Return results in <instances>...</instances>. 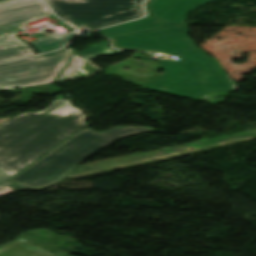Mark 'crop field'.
<instances>
[{"mask_svg":"<svg viewBox=\"0 0 256 256\" xmlns=\"http://www.w3.org/2000/svg\"><path fill=\"white\" fill-rule=\"evenodd\" d=\"M75 49L0 65V90L54 83Z\"/></svg>","mask_w":256,"mask_h":256,"instance_id":"obj_6","label":"crop field"},{"mask_svg":"<svg viewBox=\"0 0 256 256\" xmlns=\"http://www.w3.org/2000/svg\"><path fill=\"white\" fill-rule=\"evenodd\" d=\"M160 25H161L160 22L151 20V21L136 23V24L108 30V31L101 32V33L104 36L109 37V36L133 32V31H137V30H141V29H145V28L156 27V26H160Z\"/></svg>","mask_w":256,"mask_h":256,"instance_id":"obj_10","label":"crop field"},{"mask_svg":"<svg viewBox=\"0 0 256 256\" xmlns=\"http://www.w3.org/2000/svg\"><path fill=\"white\" fill-rule=\"evenodd\" d=\"M7 119H8V118H7ZM4 120H6V119H1L0 122H2V121H4Z\"/></svg>","mask_w":256,"mask_h":256,"instance_id":"obj_13","label":"crop field"},{"mask_svg":"<svg viewBox=\"0 0 256 256\" xmlns=\"http://www.w3.org/2000/svg\"><path fill=\"white\" fill-rule=\"evenodd\" d=\"M0 256H58L22 238L0 249Z\"/></svg>","mask_w":256,"mask_h":256,"instance_id":"obj_8","label":"crop field"},{"mask_svg":"<svg viewBox=\"0 0 256 256\" xmlns=\"http://www.w3.org/2000/svg\"><path fill=\"white\" fill-rule=\"evenodd\" d=\"M52 15L41 0L0 1V62L33 55L29 44L16 38L15 33L22 31L25 23Z\"/></svg>","mask_w":256,"mask_h":256,"instance_id":"obj_5","label":"crop field"},{"mask_svg":"<svg viewBox=\"0 0 256 256\" xmlns=\"http://www.w3.org/2000/svg\"><path fill=\"white\" fill-rule=\"evenodd\" d=\"M75 34L77 33H70L66 35H48L37 38L38 41L31 43V45L39 54H41L63 47Z\"/></svg>","mask_w":256,"mask_h":256,"instance_id":"obj_9","label":"crop field"},{"mask_svg":"<svg viewBox=\"0 0 256 256\" xmlns=\"http://www.w3.org/2000/svg\"><path fill=\"white\" fill-rule=\"evenodd\" d=\"M119 52H122V51L112 50L109 47V42L106 41V42L99 44L95 47H92L88 50L80 52V53H78V55L86 60H92V59H94L98 56L104 55V54H115V53H119Z\"/></svg>","mask_w":256,"mask_h":256,"instance_id":"obj_11","label":"crop field"},{"mask_svg":"<svg viewBox=\"0 0 256 256\" xmlns=\"http://www.w3.org/2000/svg\"><path fill=\"white\" fill-rule=\"evenodd\" d=\"M38 113L25 112L0 124V170L13 176L77 130L88 126L80 108L56 97Z\"/></svg>","mask_w":256,"mask_h":256,"instance_id":"obj_2","label":"crop field"},{"mask_svg":"<svg viewBox=\"0 0 256 256\" xmlns=\"http://www.w3.org/2000/svg\"><path fill=\"white\" fill-rule=\"evenodd\" d=\"M163 24V28L109 38L114 48L180 56L179 61H159L165 74L147 84V89L190 99L209 92L232 91L217 60L197 49L189 38L186 24Z\"/></svg>","mask_w":256,"mask_h":256,"instance_id":"obj_1","label":"crop field"},{"mask_svg":"<svg viewBox=\"0 0 256 256\" xmlns=\"http://www.w3.org/2000/svg\"><path fill=\"white\" fill-rule=\"evenodd\" d=\"M46 1L59 17L71 25L96 29L143 16L142 3L145 0Z\"/></svg>","mask_w":256,"mask_h":256,"instance_id":"obj_4","label":"crop field"},{"mask_svg":"<svg viewBox=\"0 0 256 256\" xmlns=\"http://www.w3.org/2000/svg\"><path fill=\"white\" fill-rule=\"evenodd\" d=\"M148 132L156 131L150 127H116L99 133L86 128L73 134L9 181L35 189L44 188L61 180L97 150L118 139Z\"/></svg>","mask_w":256,"mask_h":256,"instance_id":"obj_3","label":"crop field"},{"mask_svg":"<svg viewBox=\"0 0 256 256\" xmlns=\"http://www.w3.org/2000/svg\"><path fill=\"white\" fill-rule=\"evenodd\" d=\"M8 178H10V177H8V176L4 175L2 172H0V184L2 182L6 181Z\"/></svg>","mask_w":256,"mask_h":256,"instance_id":"obj_12","label":"crop field"},{"mask_svg":"<svg viewBox=\"0 0 256 256\" xmlns=\"http://www.w3.org/2000/svg\"><path fill=\"white\" fill-rule=\"evenodd\" d=\"M213 0H150L152 17L165 22L185 23L188 12Z\"/></svg>","mask_w":256,"mask_h":256,"instance_id":"obj_7","label":"crop field"}]
</instances>
